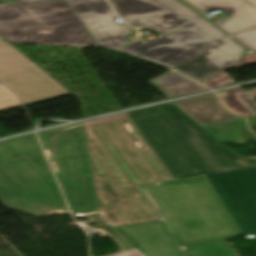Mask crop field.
<instances>
[{"mask_svg":"<svg viewBox=\"0 0 256 256\" xmlns=\"http://www.w3.org/2000/svg\"><path fill=\"white\" fill-rule=\"evenodd\" d=\"M19 158L0 164V200L33 213H69L35 135L4 142Z\"/></svg>","mask_w":256,"mask_h":256,"instance_id":"5","label":"crop field"},{"mask_svg":"<svg viewBox=\"0 0 256 256\" xmlns=\"http://www.w3.org/2000/svg\"><path fill=\"white\" fill-rule=\"evenodd\" d=\"M74 215L100 212L80 123L38 133Z\"/></svg>","mask_w":256,"mask_h":256,"instance_id":"7","label":"crop field"},{"mask_svg":"<svg viewBox=\"0 0 256 256\" xmlns=\"http://www.w3.org/2000/svg\"><path fill=\"white\" fill-rule=\"evenodd\" d=\"M206 177L243 234H256V167Z\"/></svg>","mask_w":256,"mask_h":256,"instance_id":"9","label":"crop field"},{"mask_svg":"<svg viewBox=\"0 0 256 256\" xmlns=\"http://www.w3.org/2000/svg\"><path fill=\"white\" fill-rule=\"evenodd\" d=\"M119 234H121L126 240L128 239H132L129 235H127L125 232H123L121 229H119L118 227L114 228Z\"/></svg>","mask_w":256,"mask_h":256,"instance_id":"23","label":"crop field"},{"mask_svg":"<svg viewBox=\"0 0 256 256\" xmlns=\"http://www.w3.org/2000/svg\"><path fill=\"white\" fill-rule=\"evenodd\" d=\"M119 228L134 238L128 242L142 256H184L162 220Z\"/></svg>","mask_w":256,"mask_h":256,"instance_id":"11","label":"crop field"},{"mask_svg":"<svg viewBox=\"0 0 256 256\" xmlns=\"http://www.w3.org/2000/svg\"><path fill=\"white\" fill-rule=\"evenodd\" d=\"M200 126L241 118L230 110L216 93L175 102Z\"/></svg>","mask_w":256,"mask_h":256,"instance_id":"13","label":"crop field"},{"mask_svg":"<svg viewBox=\"0 0 256 256\" xmlns=\"http://www.w3.org/2000/svg\"><path fill=\"white\" fill-rule=\"evenodd\" d=\"M242 126H246L244 118L203 126V128L219 142L226 144L240 141L237 128Z\"/></svg>","mask_w":256,"mask_h":256,"instance_id":"15","label":"crop field"},{"mask_svg":"<svg viewBox=\"0 0 256 256\" xmlns=\"http://www.w3.org/2000/svg\"><path fill=\"white\" fill-rule=\"evenodd\" d=\"M4 39H2L1 37H0V41H3Z\"/></svg>","mask_w":256,"mask_h":256,"instance_id":"26","label":"crop field"},{"mask_svg":"<svg viewBox=\"0 0 256 256\" xmlns=\"http://www.w3.org/2000/svg\"><path fill=\"white\" fill-rule=\"evenodd\" d=\"M167 98L208 90V88L175 72H168L150 81Z\"/></svg>","mask_w":256,"mask_h":256,"instance_id":"14","label":"crop field"},{"mask_svg":"<svg viewBox=\"0 0 256 256\" xmlns=\"http://www.w3.org/2000/svg\"><path fill=\"white\" fill-rule=\"evenodd\" d=\"M188 62V61H187ZM186 63V62H185ZM184 64V63H183ZM182 65V64H181Z\"/></svg>","mask_w":256,"mask_h":256,"instance_id":"27","label":"crop field"},{"mask_svg":"<svg viewBox=\"0 0 256 256\" xmlns=\"http://www.w3.org/2000/svg\"><path fill=\"white\" fill-rule=\"evenodd\" d=\"M0 80L24 105L70 94L7 41L0 42Z\"/></svg>","mask_w":256,"mask_h":256,"instance_id":"8","label":"crop field"},{"mask_svg":"<svg viewBox=\"0 0 256 256\" xmlns=\"http://www.w3.org/2000/svg\"><path fill=\"white\" fill-rule=\"evenodd\" d=\"M15 155L9 150V148L3 143H0V163L13 160Z\"/></svg>","mask_w":256,"mask_h":256,"instance_id":"20","label":"crop field"},{"mask_svg":"<svg viewBox=\"0 0 256 256\" xmlns=\"http://www.w3.org/2000/svg\"><path fill=\"white\" fill-rule=\"evenodd\" d=\"M202 11L221 8L232 16L215 21L232 34L256 27V8L245 0H187ZM227 13V14H228Z\"/></svg>","mask_w":256,"mask_h":256,"instance_id":"12","label":"crop field"},{"mask_svg":"<svg viewBox=\"0 0 256 256\" xmlns=\"http://www.w3.org/2000/svg\"><path fill=\"white\" fill-rule=\"evenodd\" d=\"M0 35L10 43L99 47L66 0L32 9L0 5Z\"/></svg>","mask_w":256,"mask_h":256,"instance_id":"6","label":"crop field"},{"mask_svg":"<svg viewBox=\"0 0 256 256\" xmlns=\"http://www.w3.org/2000/svg\"><path fill=\"white\" fill-rule=\"evenodd\" d=\"M198 182H208V180L206 179L205 175H202V176H196V177H191V178L179 179V180L156 183V184H150V185H144V186L180 184V183H198Z\"/></svg>","mask_w":256,"mask_h":256,"instance_id":"19","label":"crop field"},{"mask_svg":"<svg viewBox=\"0 0 256 256\" xmlns=\"http://www.w3.org/2000/svg\"><path fill=\"white\" fill-rule=\"evenodd\" d=\"M68 2L101 47L113 50L129 42L125 37L131 34L132 29L127 24H119L114 20L117 15L105 0Z\"/></svg>","mask_w":256,"mask_h":256,"instance_id":"10","label":"crop field"},{"mask_svg":"<svg viewBox=\"0 0 256 256\" xmlns=\"http://www.w3.org/2000/svg\"><path fill=\"white\" fill-rule=\"evenodd\" d=\"M247 1L253 4L254 6H256V0H247Z\"/></svg>","mask_w":256,"mask_h":256,"instance_id":"24","label":"crop field"},{"mask_svg":"<svg viewBox=\"0 0 256 256\" xmlns=\"http://www.w3.org/2000/svg\"><path fill=\"white\" fill-rule=\"evenodd\" d=\"M178 245L242 234L210 183L142 187Z\"/></svg>","mask_w":256,"mask_h":256,"instance_id":"4","label":"crop field"},{"mask_svg":"<svg viewBox=\"0 0 256 256\" xmlns=\"http://www.w3.org/2000/svg\"><path fill=\"white\" fill-rule=\"evenodd\" d=\"M21 106L19 98L4 85L0 84V112Z\"/></svg>","mask_w":256,"mask_h":256,"instance_id":"17","label":"crop field"},{"mask_svg":"<svg viewBox=\"0 0 256 256\" xmlns=\"http://www.w3.org/2000/svg\"><path fill=\"white\" fill-rule=\"evenodd\" d=\"M181 2H183L184 4L188 5L187 3H185L183 0H180ZM189 7H191L192 9L196 10L195 8H193L192 6L188 5ZM197 12H199L198 10H196ZM201 13V12H199ZM202 14V13H201Z\"/></svg>","mask_w":256,"mask_h":256,"instance_id":"25","label":"crop field"},{"mask_svg":"<svg viewBox=\"0 0 256 256\" xmlns=\"http://www.w3.org/2000/svg\"><path fill=\"white\" fill-rule=\"evenodd\" d=\"M237 256V255H236Z\"/></svg>","mask_w":256,"mask_h":256,"instance_id":"28","label":"crop field"},{"mask_svg":"<svg viewBox=\"0 0 256 256\" xmlns=\"http://www.w3.org/2000/svg\"><path fill=\"white\" fill-rule=\"evenodd\" d=\"M17 1L25 7H31V6H35V5H39V4H43V3H47L55 0H17Z\"/></svg>","mask_w":256,"mask_h":256,"instance_id":"21","label":"crop field"},{"mask_svg":"<svg viewBox=\"0 0 256 256\" xmlns=\"http://www.w3.org/2000/svg\"><path fill=\"white\" fill-rule=\"evenodd\" d=\"M233 36L256 52V29L242 32Z\"/></svg>","mask_w":256,"mask_h":256,"instance_id":"18","label":"crop field"},{"mask_svg":"<svg viewBox=\"0 0 256 256\" xmlns=\"http://www.w3.org/2000/svg\"><path fill=\"white\" fill-rule=\"evenodd\" d=\"M185 250L187 256H235L236 254L225 241L190 245Z\"/></svg>","mask_w":256,"mask_h":256,"instance_id":"16","label":"crop field"},{"mask_svg":"<svg viewBox=\"0 0 256 256\" xmlns=\"http://www.w3.org/2000/svg\"><path fill=\"white\" fill-rule=\"evenodd\" d=\"M108 256H141L136 250L122 251Z\"/></svg>","mask_w":256,"mask_h":256,"instance_id":"22","label":"crop field"},{"mask_svg":"<svg viewBox=\"0 0 256 256\" xmlns=\"http://www.w3.org/2000/svg\"><path fill=\"white\" fill-rule=\"evenodd\" d=\"M81 125L103 219L117 226L161 219L140 185L174 178L127 113Z\"/></svg>","mask_w":256,"mask_h":256,"instance_id":"1","label":"crop field"},{"mask_svg":"<svg viewBox=\"0 0 256 256\" xmlns=\"http://www.w3.org/2000/svg\"><path fill=\"white\" fill-rule=\"evenodd\" d=\"M118 15L137 30H154L161 36L140 39L123 48L162 66L173 68L215 46L225 44L176 68L202 82L238 62L245 47L207 19L177 0H108Z\"/></svg>","mask_w":256,"mask_h":256,"instance_id":"2","label":"crop field"},{"mask_svg":"<svg viewBox=\"0 0 256 256\" xmlns=\"http://www.w3.org/2000/svg\"><path fill=\"white\" fill-rule=\"evenodd\" d=\"M128 115L175 179L256 166L219 143L173 103Z\"/></svg>","mask_w":256,"mask_h":256,"instance_id":"3","label":"crop field"}]
</instances>
